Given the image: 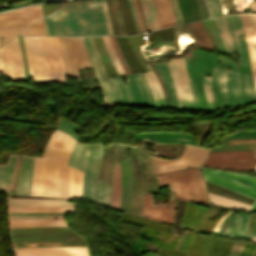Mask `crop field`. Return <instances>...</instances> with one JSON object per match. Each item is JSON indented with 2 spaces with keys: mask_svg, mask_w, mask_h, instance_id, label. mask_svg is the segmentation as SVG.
I'll list each match as a JSON object with an SVG mask.
<instances>
[{
  "mask_svg": "<svg viewBox=\"0 0 256 256\" xmlns=\"http://www.w3.org/2000/svg\"><path fill=\"white\" fill-rule=\"evenodd\" d=\"M120 217H121V221L133 222V223L169 231L171 233L174 230V228L164 225L162 223L144 220L135 215H131V214H127V213L120 214ZM145 226L143 228L142 233L148 234V236H144V235L140 234L141 236L149 238L152 241V243H154L155 245H157L159 247L169 248V249H173V250H175L177 248L178 242L181 238L180 235H183V233H184V231H182V230H177L174 234H180V235H174L169 232H165V231H161V230H157V229H153V228H149V227H145ZM205 239H206V237L196 233L189 254L175 252V251H171V250H167V249H163V248H159L156 252L165 254L167 256H200L201 249L203 247ZM219 242H220V244H219ZM229 242L230 241H228V240H224V239L217 237L216 240L214 241V243L210 246L208 256L213 255V252H214L215 248L218 246V244H219V246H218L214 256H222L226 247L228 246ZM233 242L234 241H232L229 248L227 247L228 250L225 252L224 256H226L227 252L230 250Z\"/></svg>",
  "mask_w": 256,
  "mask_h": 256,
  "instance_id": "obj_6",
  "label": "crop field"
},
{
  "mask_svg": "<svg viewBox=\"0 0 256 256\" xmlns=\"http://www.w3.org/2000/svg\"><path fill=\"white\" fill-rule=\"evenodd\" d=\"M45 159L36 158L32 195H42Z\"/></svg>",
  "mask_w": 256,
  "mask_h": 256,
  "instance_id": "obj_32",
  "label": "crop field"
},
{
  "mask_svg": "<svg viewBox=\"0 0 256 256\" xmlns=\"http://www.w3.org/2000/svg\"><path fill=\"white\" fill-rule=\"evenodd\" d=\"M21 159H22V156L16 155L12 184H11L9 193L15 194V192H16V187H17V182H18V177H19V172H20V166H21Z\"/></svg>",
  "mask_w": 256,
  "mask_h": 256,
  "instance_id": "obj_45",
  "label": "crop field"
},
{
  "mask_svg": "<svg viewBox=\"0 0 256 256\" xmlns=\"http://www.w3.org/2000/svg\"><path fill=\"white\" fill-rule=\"evenodd\" d=\"M9 219H64L59 215H9Z\"/></svg>",
  "mask_w": 256,
  "mask_h": 256,
  "instance_id": "obj_47",
  "label": "crop field"
},
{
  "mask_svg": "<svg viewBox=\"0 0 256 256\" xmlns=\"http://www.w3.org/2000/svg\"><path fill=\"white\" fill-rule=\"evenodd\" d=\"M94 65L102 95L103 105H135L155 107L152 91L143 73L126 75L127 86L120 77L102 79L98 64L87 37H84Z\"/></svg>",
  "mask_w": 256,
  "mask_h": 256,
  "instance_id": "obj_4",
  "label": "crop field"
},
{
  "mask_svg": "<svg viewBox=\"0 0 256 256\" xmlns=\"http://www.w3.org/2000/svg\"><path fill=\"white\" fill-rule=\"evenodd\" d=\"M103 6H104V10H105V16H106V23H107V31H108V34H113V32H112V27H111V23H110V18H109V14H108V10H107V7H106L105 0H103Z\"/></svg>",
  "mask_w": 256,
  "mask_h": 256,
  "instance_id": "obj_59",
  "label": "crop field"
},
{
  "mask_svg": "<svg viewBox=\"0 0 256 256\" xmlns=\"http://www.w3.org/2000/svg\"><path fill=\"white\" fill-rule=\"evenodd\" d=\"M149 66L151 67V69L153 70V72L155 73V75L158 77V79L161 81L164 91H165V97H166V102H167V107L169 108V100H168V96H167V92H166V87L162 81V79L160 78L159 74L157 73L156 69L154 68V66L152 65V63H149Z\"/></svg>",
  "mask_w": 256,
  "mask_h": 256,
  "instance_id": "obj_61",
  "label": "crop field"
},
{
  "mask_svg": "<svg viewBox=\"0 0 256 256\" xmlns=\"http://www.w3.org/2000/svg\"><path fill=\"white\" fill-rule=\"evenodd\" d=\"M256 99V14H241Z\"/></svg>",
  "mask_w": 256,
  "mask_h": 256,
  "instance_id": "obj_17",
  "label": "crop field"
},
{
  "mask_svg": "<svg viewBox=\"0 0 256 256\" xmlns=\"http://www.w3.org/2000/svg\"><path fill=\"white\" fill-rule=\"evenodd\" d=\"M249 142H254L255 146V157H256V139H231L228 143L226 144H235V143H249Z\"/></svg>",
  "mask_w": 256,
  "mask_h": 256,
  "instance_id": "obj_58",
  "label": "crop field"
},
{
  "mask_svg": "<svg viewBox=\"0 0 256 256\" xmlns=\"http://www.w3.org/2000/svg\"><path fill=\"white\" fill-rule=\"evenodd\" d=\"M254 218H255V215L253 214L252 218H251V221H250L249 229H248V233H250V234H251V231H252V226H253Z\"/></svg>",
  "mask_w": 256,
  "mask_h": 256,
  "instance_id": "obj_66",
  "label": "crop field"
},
{
  "mask_svg": "<svg viewBox=\"0 0 256 256\" xmlns=\"http://www.w3.org/2000/svg\"><path fill=\"white\" fill-rule=\"evenodd\" d=\"M208 149H200L187 145L185 151L183 152L181 159H185L189 162H194L201 164L207 157Z\"/></svg>",
  "mask_w": 256,
  "mask_h": 256,
  "instance_id": "obj_34",
  "label": "crop field"
},
{
  "mask_svg": "<svg viewBox=\"0 0 256 256\" xmlns=\"http://www.w3.org/2000/svg\"><path fill=\"white\" fill-rule=\"evenodd\" d=\"M212 17L219 16L221 14L217 0H207Z\"/></svg>",
  "mask_w": 256,
  "mask_h": 256,
  "instance_id": "obj_52",
  "label": "crop field"
},
{
  "mask_svg": "<svg viewBox=\"0 0 256 256\" xmlns=\"http://www.w3.org/2000/svg\"><path fill=\"white\" fill-rule=\"evenodd\" d=\"M208 194H209L210 202L212 204L224 205V206H229V207H239V208L248 209V210L251 207V205L247 204V203H243V202L233 200L230 198L217 196V195L210 194V193H208Z\"/></svg>",
  "mask_w": 256,
  "mask_h": 256,
  "instance_id": "obj_36",
  "label": "crop field"
},
{
  "mask_svg": "<svg viewBox=\"0 0 256 256\" xmlns=\"http://www.w3.org/2000/svg\"><path fill=\"white\" fill-rule=\"evenodd\" d=\"M16 256H89L87 247L14 249Z\"/></svg>",
  "mask_w": 256,
  "mask_h": 256,
  "instance_id": "obj_18",
  "label": "crop field"
},
{
  "mask_svg": "<svg viewBox=\"0 0 256 256\" xmlns=\"http://www.w3.org/2000/svg\"><path fill=\"white\" fill-rule=\"evenodd\" d=\"M178 1L184 23L201 19L195 0Z\"/></svg>",
  "mask_w": 256,
  "mask_h": 256,
  "instance_id": "obj_30",
  "label": "crop field"
},
{
  "mask_svg": "<svg viewBox=\"0 0 256 256\" xmlns=\"http://www.w3.org/2000/svg\"><path fill=\"white\" fill-rule=\"evenodd\" d=\"M234 212V211H233ZM232 212V213H233ZM230 213L225 220L232 214ZM251 214H242V213H237L234 215V217L230 220L228 223L227 229L225 232H220L222 225L224 224L225 220L221 224V227L218 231V235L226 236V237H231V238H247L251 239L252 237L256 236H251V235H246L249 219H250ZM204 233H212V232H204Z\"/></svg>",
  "mask_w": 256,
  "mask_h": 256,
  "instance_id": "obj_19",
  "label": "crop field"
},
{
  "mask_svg": "<svg viewBox=\"0 0 256 256\" xmlns=\"http://www.w3.org/2000/svg\"><path fill=\"white\" fill-rule=\"evenodd\" d=\"M239 243H240V242H238V245H239ZM243 243H244V242H241V244H240L241 247H240L239 251L237 252L236 256H238L239 252L241 251V249H242V247H243ZM238 245H237V247H238ZM237 249H238V248H237ZM235 250H236V249H235ZM235 252H236V251H235ZM233 253H234V252H233Z\"/></svg>",
  "mask_w": 256,
  "mask_h": 256,
  "instance_id": "obj_68",
  "label": "crop field"
},
{
  "mask_svg": "<svg viewBox=\"0 0 256 256\" xmlns=\"http://www.w3.org/2000/svg\"><path fill=\"white\" fill-rule=\"evenodd\" d=\"M206 211H207V209H206ZM206 211H205V212H206ZM204 214H205V213H204ZM203 217H204V215H203ZM203 217H202V219H203ZM202 219H201V221H202ZM201 221H200V223H201ZM199 225H200V224H199ZM198 227H199V226H198ZM197 229H198V228H197Z\"/></svg>",
  "mask_w": 256,
  "mask_h": 256,
  "instance_id": "obj_71",
  "label": "crop field"
},
{
  "mask_svg": "<svg viewBox=\"0 0 256 256\" xmlns=\"http://www.w3.org/2000/svg\"><path fill=\"white\" fill-rule=\"evenodd\" d=\"M46 54L50 82H65L63 60L57 37H40Z\"/></svg>",
  "mask_w": 256,
  "mask_h": 256,
  "instance_id": "obj_15",
  "label": "crop field"
},
{
  "mask_svg": "<svg viewBox=\"0 0 256 256\" xmlns=\"http://www.w3.org/2000/svg\"><path fill=\"white\" fill-rule=\"evenodd\" d=\"M14 247L88 246L86 242L13 243Z\"/></svg>",
  "mask_w": 256,
  "mask_h": 256,
  "instance_id": "obj_38",
  "label": "crop field"
},
{
  "mask_svg": "<svg viewBox=\"0 0 256 256\" xmlns=\"http://www.w3.org/2000/svg\"><path fill=\"white\" fill-rule=\"evenodd\" d=\"M152 34H149L150 40H156V39H168V40H174V31L173 28H165L161 30L152 31Z\"/></svg>",
  "mask_w": 256,
  "mask_h": 256,
  "instance_id": "obj_43",
  "label": "crop field"
},
{
  "mask_svg": "<svg viewBox=\"0 0 256 256\" xmlns=\"http://www.w3.org/2000/svg\"><path fill=\"white\" fill-rule=\"evenodd\" d=\"M242 149H253V143H250V144L227 145V146H218V147L212 148L210 151L242 150Z\"/></svg>",
  "mask_w": 256,
  "mask_h": 256,
  "instance_id": "obj_50",
  "label": "crop field"
},
{
  "mask_svg": "<svg viewBox=\"0 0 256 256\" xmlns=\"http://www.w3.org/2000/svg\"><path fill=\"white\" fill-rule=\"evenodd\" d=\"M3 45L2 37H0V46Z\"/></svg>",
  "mask_w": 256,
  "mask_h": 256,
  "instance_id": "obj_69",
  "label": "crop field"
},
{
  "mask_svg": "<svg viewBox=\"0 0 256 256\" xmlns=\"http://www.w3.org/2000/svg\"><path fill=\"white\" fill-rule=\"evenodd\" d=\"M229 212H230V211H229ZM229 212H228V213H229ZM228 213H227V214H228ZM227 214H225L224 216L221 217V219L216 223V225L214 226V228H213L212 231H218L219 226H220L222 220L225 218V216H226Z\"/></svg>",
  "mask_w": 256,
  "mask_h": 256,
  "instance_id": "obj_65",
  "label": "crop field"
},
{
  "mask_svg": "<svg viewBox=\"0 0 256 256\" xmlns=\"http://www.w3.org/2000/svg\"><path fill=\"white\" fill-rule=\"evenodd\" d=\"M42 16L40 5L0 14V36H3L4 43L18 35L29 23Z\"/></svg>",
  "mask_w": 256,
  "mask_h": 256,
  "instance_id": "obj_8",
  "label": "crop field"
},
{
  "mask_svg": "<svg viewBox=\"0 0 256 256\" xmlns=\"http://www.w3.org/2000/svg\"><path fill=\"white\" fill-rule=\"evenodd\" d=\"M255 245L256 244H249L245 242L244 247L240 252L239 256H253Z\"/></svg>",
  "mask_w": 256,
  "mask_h": 256,
  "instance_id": "obj_53",
  "label": "crop field"
},
{
  "mask_svg": "<svg viewBox=\"0 0 256 256\" xmlns=\"http://www.w3.org/2000/svg\"><path fill=\"white\" fill-rule=\"evenodd\" d=\"M44 19L48 36L107 34L101 0L64 3Z\"/></svg>",
  "mask_w": 256,
  "mask_h": 256,
  "instance_id": "obj_3",
  "label": "crop field"
},
{
  "mask_svg": "<svg viewBox=\"0 0 256 256\" xmlns=\"http://www.w3.org/2000/svg\"><path fill=\"white\" fill-rule=\"evenodd\" d=\"M236 242H237V241H236ZM234 243H235V242H234ZM235 245H236V243H235ZM233 246H234V245H233ZM234 248H235V246L233 247V249L231 248V249H232L231 252L234 250ZM231 252H230V253H231Z\"/></svg>",
  "mask_w": 256,
  "mask_h": 256,
  "instance_id": "obj_70",
  "label": "crop field"
},
{
  "mask_svg": "<svg viewBox=\"0 0 256 256\" xmlns=\"http://www.w3.org/2000/svg\"><path fill=\"white\" fill-rule=\"evenodd\" d=\"M0 72L5 74L3 46L0 47Z\"/></svg>",
  "mask_w": 256,
  "mask_h": 256,
  "instance_id": "obj_63",
  "label": "crop field"
},
{
  "mask_svg": "<svg viewBox=\"0 0 256 256\" xmlns=\"http://www.w3.org/2000/svg\"><path fill=\"white\" fill-rule=\"evenodd\" d=\"M15 155H9L7 165H0V191H9Z\"/></svg>",
  "mask_w": 256,
  "mask_h": 256,
  "instance_id": "obj_29",
  "label": "crop field"
},
{
  "mask_svg": "<svg viewBox=\"0 0 256 256\" xmlns=\"http://www.w3.org/2000/svg\"><path fill=\"white\" fill-rule=\"evenodd\" d=\"M151 157L153 160V164H154L156 173L198 166V165H193L189 162H184V161L178 160V159L163 160V159H159L154 156H151Z\"/></svg>",
  "mask_w": 256,
  "mask_h": 256,
  "instance_id": "obj_25",
  "label": "crop field"
},
{
  "mask_svg": "<svg viewBox=\"0 0 256 256\" xmlns=\"http://www.w3.org/2000/svg\"><path fill=\"white\" fill-rule=\"evenodd\" d=\"M128 3H129V7H130L131 14H132V17H133L136 33L138 34V33H140V30H139V26H138V22H137V18H136V14H135V10H134V7H133L132 0H128Z\"/></svg>",
  "mask_w": 256,
  "mask_h": 256,
  "instance_id": "obj_57",
  "label": "crop field"
},
{
  "mask_svg": "<svg viewBox=\"0 0 256 256\" xmlns=\"http://www.w3.org/2000/svg\"><path fill=\"white\" fill-rule=\"evenodd\" d=\"M23 35H46L45 25L43 18L33 22L23 32Z\"/></svg>",
  "mask_w": 256,
  "mask_h": 256,
  "instance_id": "obj_41",
  "label": "crop field"
},
{
  "mask_svg": "<svg viewBox=\"0 0 256 256\" xmlns=\"http://www.w3.org/2000/svg\"><path fill=\"white\" fill-rule=\"evenodd\" d=\"M248 10L250 12H256V1L249 3Z\"/></svg>",
  "mask_w": 256,
  "mask_h": 256,
  "instance_id": "obj_64",
  "label": "crop field"
},
{
  "mask_svg": "<svg viewBox=\"0 0 256 256\" xmlns=\"http://www.w3.org/2000/svg\"><path fill=\"white\" fill-rule=\"evenodd\" d=\"M255 171H256V164H255Z\"/></svg>",
  "mask_w": 256,
  "mask_h": 256,
  "instance_id": "obj_75",
  "label": "crop field"
},
{
  "mask_svg": "<svg viewBox=\"0 0 256 256\" xmlns=\"http://www.w3.org/2000/svg\"><path fill=\"white\" fill-rule=\"evenodd\" d=\"M214 239H215V237H208L207 240H206V243L204 245V249L203 250L208 251L209 246L213 242ZM207 253L208 252L202 251V255L201 256H207Z\"/></svg>",
  "mask_w": 256,
  "mask_h": 256,
  "instance_id": "obj_62",
  "label": "crop field"
},
{
  "mask_svg": "<svg viewBox=\"0 0 256 256\" xmlns=\"http://www.w3.org/2000/svg\"><path fill=\"white\" fill-rule=\"evenodd\" d=\"M169 62L167 64L174 81L178 108L192 110V97L184 62L182 58L170 59Z\"/></svg>",
  "mask_w": 256,
  "mask_h": 256,
  "instance_id": "obj_13",
  "label": "crop field"
},
{
  "mask_svg": "<svg viewBox=\"0 0 256 256\" xmlns=\"http://www.w3.org/2000/svg\"><path fill=\"white\" fill-rule=\"evenodd\" d=\"M213 19L218 29L213 32L221 50L230 55L236 51L241 56L236 69L235 62L218 55L221 67L215 66L212 76L217 110L243 105L246 96L248 104L255 102L240 15Z\"/></svg>",
  "mask_w": 256,
  "mask_h": 256,
  "instance_id": "obj_1",
  "label": "crop field"
},
{
  "mask_svg": "<svg viewBox=\"0 0 256 256\" xmlns=\"http://www.w3.org/2000/svg\"><path fill=\"white\" fill-rule=\"evenodd\" d=\"M88 38H89V40H90L91 46H92V48H93L94 54H95L96 59H97V62H98V64H99L102 77L105 78V77H107V76H106V73H105V71H104L103 65H102L101 60H100V57H99V55H98V52H97V50H96L95 44H94V42H93V39H92L91 36H89Z\"/></svg>",
  "mask_w": 256,
  "mask_h": 256,
  "instance_id": "obj_54",
  "label": "crop field"
},
{
  "mask_svg": "<svg viewBox=\"0 0 256 256\" xmlns=\"http://www.w3.org/2000/svg\"><path fill=\"white\" fill-rule=\"evenodd\" d=\"M191 26V29L194 33V36L199 44L200 47L202 48H208V49H213V45L209 39V36L202 24L201 21L195 22V23H189Z\"/></svg>",
  "mask_w": 256,
  "mask_h": 256,
  "instance_id": "obj_33",
  "label": "crop field"
},
{
  "mask_svg": "<svg viewBox=\"0 0 256 256\" xmlns=\"http://www.w3.org/2000/svg\"><path fill=\"white\" fill-rule=\"evenodd\" d=\"M35 157L23 156L16 194L31 195Z\"/></svg>",
  "mask_w": 256,
  "mask_h": 256,
  "instance_id": "obj_20",
  "label": "crop field"
},
{
  "mask_svg": "<svg viewBox=\"0 0 256 256\" xmlns=\"http://www.w3.org/2000/svg\"><path fill=\"white\" fill-rule=\"evenodd\" d=\"M212 210H213V209L210 210V212H209V214L207 215V217H206V219H205V221H204V223H203V225H202V227H201L200 230H202V228H203V226H204L206 220L208 219V217H209V215H210V213H211ZM217 212H218V210L214 209V210L212 211V213H211V215H210L209 218H212ZM221 216H222V215H221ZM221 216L215 218V220L213 221L212 224H211L212 221H209V220H208L207 223H206V225H205V227H204V229H203V231H208L210 224H211V227H210L209 231H211L212 228H213V226H214V224L220 219Z\"/></svg>",
  "mask_w": 256,
  "mask_h": 256,
  "instance_id": "obj_51",
  "label": "crop field"
},
{
  "mask_svg": "<svg viewBox=\"0 0 256 256\" xmlns=\"http://www.w3.org/2000/svg\"><path fill=\"white\" fill-rule=\"evenodd\" d=\"M74 205V203H70L68 200L8 198V206L74 207Z\"/></svg>",
  "mask_w": 256,
  "mask_h": 256,
  "instance_id": "obj_21",
  "label": "crop field"
},
{
  "mask_svg": "<svg viewBox=\"0 0 256 256\" xmlns=\"http://www.w3.org/2000/svg\"><path fill=\"white\" fill-rule=\"evenodd\" d=\"M101 37H102V39L104 41L106 50H107V52L109 54V57H110L111 61L114 64L117 72L119 73V75H123L124 72H123V70H122V68H121V66H120V64H119V62H118V60H117V58L115 56V53H114V51H113V49L111 47V44H110V41H109L108 37L107 36H101Z\"/></svg>",
  "mask_w": 256,
  "mask_h": 256,
  "instance_id": "obj_44",
  "label": "crop field"
},
{
  "mask_svg": "<svg viewBox=\"0 0 256 256\" xmlns=\"http://www.w3.org/2000/svg\"><path fill=\"white\" fill-rule=\"evenodd\" d=\"M148 31L159 29L156 12L152 0H140Z\"/></svg>",
  "mask_w": 256,
  "mask_h": 256,
  "instance_id": "obj_28",
  "label": "crop field"
},
{
  "mask_svg": "<svg viewBox=\"0 0 256 256\" xmlns=\"http://www.w3.org/2000/svg\"><path fill=\"white\" fill-rule=\"evenodd\" d=\"M254 256H256V249H255V253H254Z\"/></svg>",
  "mask_w": 256,
  "mask_h": 256,
  "instance_id": "obj_74",
  "label": "crop field"
},
{
  "mask_svg": "<svg viewBox=\"0 0 256 256\" xmlns=\"http://www.w3.org/2000/svg\"><path fill=\"white\" fill-rule=\"evenodd\" d=\"M146 65L150 71L143 72V73H144L145 77L147 78V80L151 86V89L153 91L155 104H156V106L166 107V102H165L164 91H163L162 85L159 82V80L156 78V76L154 75V73L152 72V70L150 69L148 64H146Z\"/></svg>",
  "mask_w": 256,
  "mask_h": 256,
  "instance_id": "obj_27",
  "label": "crop field"
},
{
  "mask_svg": "<svg viewBox=\"0 0 256 256\" xmlns=\"http://www.w3.org/2000/svg\"><path fill=\"white\" fill-rule=\"evenodd\" d=\"M183 59H184L185 65H186V69H187V73H188V77H189V81H190V85H191L192 97H193V109L201 110L199 95H198L197 88H196V85H195L193 77H192V73H191V69H190L188 60H187V58H183Z\"/></svg>",
  "mask_w": 256,
  "mask_h": 256,
  "instance_id": "obj_40",
  "label": "crop field"
},
{
  "mask_svg": "<svg viewBox=\"0 0 256 256\" xmlns=\"http://www.w3.org/2000/svg\"><path fill=\"white\" fill-rule=\"evenodd\" d=\"M160 76L163 78L167 87L168 96L170 100V108H177V98L175 97L174 88L170 79L167 64L164 62L153 63Z\"/></svg>",
  "mask_w": 256,
  "mask_h": 256,
  "instance_id": "obj_26",
  "label": "crop field"
},
{
  "mask_svg": "<svg viewBox=\"0 0 256 256\" xmlns=\"http://www.w3.org/2000/svg\"><path fill=\"white\" fill-rule=\"evenodd\" d=\"M157 16L159 19L160 27H166L174 25L175 19L172 12L171 4L169 0H153Z\"/></svg>",
  "mask_w": 256,
  "mask_h": 256,
  "instance_id": "obj_23",
  "label": "crop field"
},
{
  "mask_svg": "<svg viewBox=\"0 0 256 256\" xmlns=\"http://www.w3.org/2000/svg\"><path fill=\"white\" fill-rule=\"evenodd\" d=\"M116 37V36H115ZM119 47L128 63L132 73L143 71L140 63L138 62L127 37H116Z\"/></svg>",
  "mask_w": 256,
  "mask_h": 256,
  "instance_id": "obj_24",
  "label": "crop field"
},
{
  "mask_svg": "<svg viewBox=\"0 0 256 256\" xmlns=\"http://www.w3.org/2000/svg\"><path fill=\"white\" fill-rule=\"evenodd\" d=\"M204 211V208L186 202L180 225L189 228H197Z\"/></svg>",
  "mask_w": 256,
  "mask_h": 256,
  "instance_id": "obj_22",
  "label": "crop field"
},
{
  "mask_svg": "<svg viewBox=\"0 0 256 256\" xmlns=\"http://www.w3.org/2000/svg\"><path fill=\"white\" fill-rule=\"evenodd\" d=\"M208 211H209V209H208ZM208 211H207V213H208ZM207 213H206V215H207ZM206 215H205V217H206ZM205 217H204V219H205ZM204 219H203V221H204ZM200 229V228H199Z\"/></svg>",
  "mask_w": 256,
  "mask_h": 256,
  "instance_id": "obj_72",
  "label": "crop field"
},
{
  "mask_svg": "<svg viewBox=\"0 0 256 256\" xmlns=\"http://www.w3.org/2000/svg\"><path fill=\"white\" fill-rule=\"evenodd\" d=\"M204 79H205V81H203V83H204V89H205L206 95H207L208 107H209L210 111H213V110H216V108H215L211 78H210V76H204Z\"/></svg>",
  "mask_w": 256,
  "mask_h": 256,
  "instance_id": "obj_42",
  "label": "crop field"
},
{
  "mask_svg": "<svg viewBox=\"0 0 256 256\" xmlns=\"http://www.w3.org/2000/svg\"><path fill=\"white\" fill-rule=\"evenodd\" d=\"M118 5L123 23L128 35L136 34L127 0H118Z\"/></svg>",
  "mask_w": 256,
  "mask_h": 256,
  "instance_id": "obj_35",
  "label": "crop field"
},
{
  "mask_svg": "<svg viewBox=\"0 0 256 256\" xmlns=\"http://www.w3.org/2000/svg\"><path fill=\"white\" fill-rule=\"evenodd\" d=\"M170 1L172 4L174 15H175L176 23L177 24L183 23L177 0H170Z\"/></svg>",
  "mask_w": 256,
  "mask_h": 256,
  "instance_id": "obj_55",
  "label": "crop field"
},
{
  "mask_svg": "<svg viewBox=\"0 0 256 256\" xmlns=\"http://www.w3.org/2000/svg\"><path fill=\"white\" fill-rule=\"evenodd\" d=\"M74 212V208L55 207H8V212Z\"/></svg>",
  "mask_w": 256,
  "mask_h": 256,
  "instance_id": "obj_37",
  "label": "crop field"
},
{
  "mask_svg": "<svg viewBox=\"0 0 256 256\" xmlns=\"http://www.w3.org/2000/svg\"><path fill=\"white\" fill-rule=\"evenodd\" d=\"M67 76L77 77L81 81L77 69L91 67L81 37H58Z\"/></svg>",
  "mask_w": 256,
  "mask_h": 256,
  "instance_id": "obj_9",
  "label": "crop field"
},
{
  "mask_svg": "<svg viewBox=\"0 0 256 256\" xmlns=\"http://www.w3.org/2000/svg\"><path fill=\"white\" fill-rule=\"evenodd\" d=\"M192 51L194 59L188 60L199 91L202 110H208L206 95L202 84V80H204L202 74H212V65H219L218 59L215 55L212 54L204 53L194 49H192Z\"/></svg>",
  "mask_w": 256,
  "mask_h": 256,
  "instance_id": "obj_14",
  "label": "crop field"
},
{
  "mask_svg": "<svg viewBox=\"0 0 256 256\" xmlns=\"http://www.w3.org/2000/svg\"><path fill=\"white\" fill-rule=\"evenodd\" d=\"M256 158L253 150L209 152L203 165L239 171L253 170Z\"/></svg>",
  "mask_w": 256,
  "mask_h": 256,
  "instance_id": "obj_11",
  "label": "crop field"
},
{
  "mask_svg": "<svg viewBox=\"0 0 256 256\" xmlns=\"http://www.w3.org/2000/svg\"><path fill=\"white\" fill-rule=\"evenodd\" d=\"M252 240L256 241V238H252Z\"/></svg>",
  "mask_w": 256,
  "mask_h": 256,
  "instance_id": "obj_73",
  "label": "crop field"
},
{
  "mask_svg": "<svg viewBox=\"0 0 256 256\" xmlns=\"http://www.w3.org/2000/svg\"><path fill=\"white\" fill-rule=\"evenodd\" d=\"M229 210H219V212L212 218V219H209V220H213L215 217L221 215V214H225L227 213Z\"/></svg>",
  "mask_w": 256,
  "mask_h": 256,
  "instance_id": "obj_67",
  "label": "crop field"
},
{
  "mask_svg": "<svg viewBox=\"0 0 256 256\" xmlns=\"http://www.w3.org/2000/svg\"><path fill=\"white\" fill-rule=\"evenodd\" d=\"M74 139L56 130L44 150L43 158L47 159L43 195L69 197V173L67 161Z\"/></svg>",
  "mask_w": 256,
  "mask_h": 256,
  "instance_id": "obj_5",
  "label": "crop field"
},
{
  "mask_svg": "<svg viewBox=\"0 0 256 256\" xmlns=\"http://www.w3.org/2000/svg\"><path fill=\"white\" fill-rule=\"evenodd\" d=\"M82 172L71 168L70 197L79 196Z\"/></svg>",
  "mask_w": 256,
  "mask_h": 256,
  "instance_id": "obj_39",
  "label": "crop field"
},
{
  "mask_svg": "<svg viewBox=\"0 0 256 256\" xmlns=\"http://www.w3.org/2000/svg\"><path fill=\"white\" fill-rule=\"evenodd\" d=\"M101 150V144L75 142L67 165L83 171L80 196L109 206L112 186L97 179Z\"/></svg>",
  "mask_w": 256,
  "mask_h": 256,
  "instance_id": "obj_7",
  "label": "crop field"
},
{
  "mask_svg": "<svg viewBox=\"0 0 256 256\" xmlns=\"http://www.w3.org/2000/svg\"><path fill=\"white\" fill-rule=\"evenodd\" d=\"M10 227L67 226L64 220H9Z\"/></svg>",
  "mask_w": 256,
  "mask_h": 256,
  "instance_id": "obj_31",
  "label": "crop field"
},
{
  "mask_svg": "<svg viewBox=\"0 0 256 256\" xmlns=\"http://www.w3.org/2000/svg\"><path fill=\"white\" fill-rule=\"evenodd\" d=\"M110 3H111L113 14H114V17H115V20H116L117 27H118V30H119V34L120 35H127L126 31H125V28L123 26L121 17H120L118 5H117V0H110Z\"/></svg>",
  "mask_w": 256,
  "mask_h": 256,
  "instance_id": "obj_46",
  "label": "crop field"
},
{
  "mask_svg": "<svg viewBox=\"0 0 256 256\" xmlns=\"http://www.w3.org/2000/svg\"><path fill=\"white\" fill-rule=\"evenodd\" d=\"M30 76L34 83L42 84L49 82L46 68V59L39 37H22Z\"/></svg>",
  "mask_w": 256,
  "mask_h": 256,
  "instance_id": "obj_12",
  "label": "crop field"
},
{
  "mask_svg": "<svg viewBox=\"0 0 256 256\" xmlns=\"http://www.w3.org/2000/svg\"><path fill=\"white\" fill-rule=\"evenodd\" d=\"M106 3H107V6H108L110 18H111V23H112V27H113V32H114V34L119 35V34H118V31H117V27H116L115 21H114V17H113L112 11H111V7H110L109 0H106Z\"/></svg>",
  "mask_w": 256,
  "mask_h": 256,
  "instance_id": "obj_60",
  "label": "crop field"
},
{
  "mask_svg": "<svg viewBox=\"0 0 256 256\" xmlns=\"http://www.w3.org/2000/svg\"><path fill=\"white\" fill-rule=\"evenodd\" d=\"M108 37H109V39L111 41L112 47H113V49H114V51H115V53H116V55H117L121 65H122L125 73L126 74L131 73L129 68H128V66H127V64H126V62H125V60H124V58H123V56H122V54H121V52H120V49L118 47V44L116 42L115 37L114 36H108Z\"/></svg>",
  "mask_w": 256,
  "mask_h": 256,
  "instance_id": "obj_48",
  "label": "crop field"
},
{
  "mask_svg": "<svg viewBox=\"0 0 256 256\" xmlns=\"http://www.w3.org/2000/svg\"><path fill=\"white\" fill-rule=\"evenodd\" d=\"M200 168L204 171L202 172L204 179L256 199V176L224 172L221 170L208 169L204 167ZM221 175L231 177L235 180L252 185L254 187L225 178ZM251 210L256 211V200L253 203Z\"/></svg>",
  "mask_w": 256,
  "mask_h": 256,
  "instance_id": "obj_10",
  "label": "crop field"
},
{
  "mask_svg": "<svg viewBox=\"0 0 256 256\" xmlns=\"http://www.w3.org/2000/svg\"><path fill=\"white\" fill-rule=\"evenodd\" d=\"M194 234L195 233H193V232L186 231L184 236H183L184 238L182 240V245H181V242H180L179 245H178L177 251L179 250V247L181 245V248H180L179 251L188 253L189 249H190V246H191V243H192V240H193V237H194Z\"/></svg>",
  "mask_w": 256,
  "mask_h": 256,
  "instance_id": "obj_49",
  "label": "crop field"
},
{
  "mask_svg": "<svg viewBox=\"0 0 256 256\" xmlns=\"http://www.w3.org/2000/svg\"><path fill=\"white\" fill-rule=\"evenodd\" d=\"M6 76L14 81H25L22 55L17 37L4 45Z\"/></svg>",
  "mask_w": 256,
  "mask_h": 256,
  "instance_id": "obj_16",
  "label": "crop field"
},
{
  "mask_svg": "<svg viewBox=\"0 0 256 256\" xmlns=\"http://www.w3.org/2000/svg\"><path fill=\"white\" fill-rule=\"evenodd\" d=\"M133 3H134L135 10H136V14H137L140 30H141V32H143V31H145V29H144V25H143L141 13H140V8H139L138 0H133Z\"/></svg>",
  "mask_w": 256,
  "mask_h": 256,
  "instance_id": "obj_56",
  "label": "crop field"
},
{
  "mask_svg": "<svg viewBox=\"0 0 256 256\" xmlns=\"http://www.w3.org/2000/svg\"><path fill=\"white\" fill-rule=\"evenodd\" d=\"M160 186L169 185V203L153 205L151 194H143L144 216L172 224L177 199L208 203L204 180L199 168L156 174Z\"/></svg>",
  "mask_w": 256,
  "mask_h": 256,
  "instance_id": "obj_2",
  "label": "crop field"
}]
</instances>
